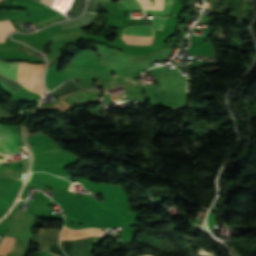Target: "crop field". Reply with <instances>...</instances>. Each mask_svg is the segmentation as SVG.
Segmentation results:
<instances>
[{"label": "crop field", "mask_w": 256, "mask_h": 256, "mask_svg": "<svg viewBox=\"0 0 256 256\" xmlns=\"http://www.w3.org/2000/svg\"><path fill=\"white\" fill-rule=\"evenodd\" d=\"M0 1H2V0H0Z\"/></svg>", "instance_id": "cbeb9de0"}, {"label": "crop field", "mask_w": 256, "mask_h": 256, "mask_svg": "<svg viewBox=\"0 0 256 256\" xmlns=\"http://www.w3.org/2000/svg\"><path fill=\"white\" fill-rule=\"evenodd\" d=\"M72 1L73 0H55L52 7L65 14V12L69 9Z\"/></svg>", "instance_id": "5a996713"}, {"label": "crop field", "mask_w": 256, "mask_h": 256, "mask_svg": "<svg viewBox=\"0 0 256 256\" xmlns=\"http://www.w3.org/2000/svg\"><path fill=\"white\" fill-rule=\"evenodd\" d=\"M43 67L44 64L6 63L0 60V73L8 78L19 81L28 89L41 94H43V83L41 80Z\"/></svg>", "instance_id": "8a807250"}, {"label": "crop field", "mask_w": 256, "mask_h": 256, "mask_svg": "<svg viewBox=\"0 0 256 256\" xmlns=\"http://www.w3.org/2000/svg\"><path fill=\"white\" fill-rule=\"evenodd\" d=\"M122 33L153 36V26H133L123 29Z\"/></svg>", "instance_id": "f4fd0767"}, {"label": "crop field", "mask_w": 256, "mask_h": 256, "mask_svg": "<svg viewBox=\"0 0 256 256\" xmlns=\"http://www.w3.org/2000/svg\"><path fill=\"white\" fill-rule=\"evenodd\" d=\"M9 21V20H8ZM11 24V23H10ZM12 25V24H11ZM15 29V28H14ZM13 31L12 27L8 24L7 21L0 22V42H4L7 34Z\"/></svg>", "instance_id": "d8731c3e"}, {"label": "crop field", "mask_w": 256, "mask_h": 256, "mask_svg": "<svg viewBox=\"0 0 256 256\" xmlns=\"http://www.w3.org/2000/svg\"><path fill=\"white\" fill-rule=\"evenodd\" d=\"M15 238L3 237L0 243V255H7L14 244Z\"/></svg>", "instance_id": "dd49c442"}, {"label": "crop field", "mask_w": 256, "mask_h": 256, "mask_svg": "<svg viewBox=\"0 0 256 256\" xmlns=\"http://www.w3.org/2000/svg\"><path fill=\"white\" fill-rule=\"evenodd\" d=\"M48 250H49V247H48ZM48 250H47V252H48ZM45 256H51V255H49V254H47V253H46V255H45Z\"/></svg>", "instance_id": "22f410ed"}, {"label": "crop field", "mask_w": 256, "mask_h": 256, "mask_svg": "<svg viewBox=\"0 0 256 256\" xmlns=\"http://www.w3.org/2000/svg\"><path fill=\"white\" fill-rule=\"evenodd\" d=\"M27 183L43 184L54 189L71 190L70 182L47 173H32L27 178Z\"/></svg>", "instance_id": "ac0d7876"}, {"label": "crop field", "mask_w": 256, "mask_h": 256, "mask_svg": "<svg viewBox=\"0 0 256 256\" xmlns=\"http://www.w3.org/2000/svg\"><path fill=\"white\" fill-rule=\"evenodd\" d=\"M120 2L129 10L132 11L133 8H141L136 0H120Z\"/></svg>", "instance_id": "28ad6ade"}, {"label": "crop field", "mask_w": 256, "mask_h": 256, "mask_svg": "<svg viewBox=\"0 0 256 256\" xmlns=\"http://www.w3.org/2000/svg\"><path fill=\"white\" fill-rule=\"evenodd\" d=\"M0 164H1V162H0Z\"/></svg>", "instance_id": "5142ce71"}, {"label": "crop field", "mask_w": 256, "mask_h": 256, "mask_svg": "<svg viewBox=\"0 0 256 256\" xmlns=\"http://www.w3.org/2000/svg\"><path fill=\"white\" fill-rule=\"evenodd\" d=\"M19 151L14 141V133L0 125V152L16 153Z\"/></svg>", "instance_id": "34b2d1b8"}, {"label": "crop field", "mask_w": 256, "mask_h": 256, "mask_svg": "<svg viewBox=\"0 0 256 256\" xmlns=\"http://www.w3.org/2000/svg\"><path fill=\"white\" fill-rule=\"evenodd\" d=\"M166 21L167 18L153 17L151 23L154 25L155 29L162 30Z\"/></svg>", "instance_id": "3316defc"}, {"label": "crop field", "mask_w": 256, "mask_h": 256, "mask_svg": "<svg viewBox=\"0 0 256 256\" xmlns=\"http://www.w3.org/2000/svg\"><path fill=\"white\" fill-rule=\"evenodd\" d=\"M40 1H42L43 3L50 5V6H52V4L54 2V0H40Z\"/></svg>", "instance_id": "d1516ede"}, {"label": "crop field", "mask_w": 256, "mask_h": 256, "mask_svg": "<svg viewBox=\"0 0 256 256\" xmlns=\"http://www.w3.org/2000/svg\"><path fill=\"white\" fill-rule=\"evenodd\" d=\"M173 1H174V0H163L162 11L144 9V10H145V13H148V14H159V15H166V14H169L170 7H171Z\"/></svg>", "instance_id": "e52e79f7"}, {"label": "crop field", "mask_w": 256, "mask_h": 256, "mask_svg": "<svg viewBox=\"0 0 256 256\" xmlns=\"http://www.w3.org/2000/svg\"><path fill=\"white\" fill-rule=\"evenodd\" d=\"M61 230L39 228V251L46 252L47 244L58 243Z\"/></svg>", "instance_id": "412701ff"}]
</instances>
